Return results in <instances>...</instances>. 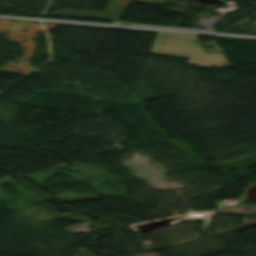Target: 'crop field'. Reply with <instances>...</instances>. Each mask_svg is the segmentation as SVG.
Wrapping results in <instances>:
<instances>
[{
	"label": "crop field",
	"instance_id": "crop-field-1",
	"mask_svg": "<svg viewBox=\"0 0 256 256\" xmlns=\"http://www.w3.org/2000/svg\"><path fill=\"white\" fill-rule=\"evenodd\" d=\"M136 256H158L157 254H153L150 252L144 253V254H140V255H136Z\"/></svg>",
	"mask_w": 256,
	"mask_h": 256
}]
</instances>
